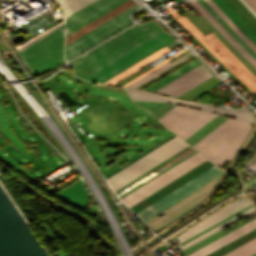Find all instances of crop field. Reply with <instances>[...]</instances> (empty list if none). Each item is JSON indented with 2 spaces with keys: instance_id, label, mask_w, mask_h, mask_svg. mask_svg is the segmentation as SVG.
I'll list each match as a JSON object with an SVG mask.
<instances>
[{
  "instance_id": "18",
  "label": "crop field",
  "mask_w": 256,
  "mask_h": 256,
  "mask_svg": "<svg viewBox=\"0 0 256 256\" xmlns=\"http://www.w3.org/2000/svg\"><path fill=\"white\" fill-rule=\"evenodd\" d=\"M252 211H254V209H253V207H250V208L244 210L243 212L237 214L236 216H234V217L228 219L227 221L221 223L220 225H218V226L212 228L211 230L205 232L204 234H202V235L196 237L195 239L189 241L188 243H186V244L180 246L181 251L184 250V249H186V248H188L189 246L195 244L196 242L202 240L203 238L209 236L210 234L214 233L215 231H217V230H219V229H221V228H223V227L229 225V224L232 223L233 221L239 219L240 217H242V216H244V215H246V214H248V213H250V212H252Z\"/></svg>"
},
{
  "instance_id": "4",
  "label": "crop field",
  "mask_w": 256,
  "mask_h": 256,
  "mask_svg": "<svg viewBox=\"0 0 256 256\" xmlns=\"http://www.w3.org/2000/svg\"><path fill=\"white\" fill-rule=\"evenodd\" d=\"M186 145L188 144L176 136L107 179L114 189H117L151 169L160 161L178 152Z\"/></svg>"
},
{
  "instance_id": "19",
  "label": "crop field",
  "mask_w": 256,
  "mask_h": 256,
  "mask_svg": "<svg viewBox=\"0 0 256 256\" xmlns=\"http://www.w3.org/2000/svg\"><path fill=\"white\" fill-rule=\"evenodd\" d=\"M61 9L63 16L70 15L93 0H54Z\"/></svg>"
},
{
  "instance_id": "15",
  "label": "crop field",
  "mask_w": 256,
  "mask_h": 256,
  "mask_svg": "<svg viewBox=\"0 0 256 256\" xmlns=\"http://www.w3.org/2000/svg\"><path fill=\"white\" fill-rule=\"evenodd\" d=\"M244 33V35L256 45V34L239 18L224 0H212Z\"/></svg>"
},
{
  "instance_id": "22",
  "label": "crop field",
  "mask_w": 256,
  "mask_h": 256,
  "mask_svg": "<svg viewBox=\"0 0 256 256\" xmlns=\"http://www.w3.org/2000/svg\"><path fill=\"white\" fill-rule=\"evenodd\" d=\"M188 55H190V54L187 53L186 55L178 58L177 60H175L171 63L168 62V63L162 65L161 67H159L156 70L150 72L149 74L145 75L144 77L138 79L137 81L133 82L132 84H130L128 86L136 87V86L140 85L141 83L145 82L146 80L150 79L151 77L155 76L156 74L160 73L161 71L165 70L166 68L170 67L171 65L175 64L176 62L180 61L181 59L185 58Z\"/></svg>"
},
{
  "instance_id": "23",
  "label": "crop field",
  "mask_w": 256,
  "mask_h": 256,
  "mask_svg": "<svg viewBox=\"0 0 256 256\" xmlns=\"http://www.w3.org/2000/svg\"><path fill=\"white\" fill-rule=\"evenodd\" d=\"M248 75H250L255 81L254 77L226 48L225 46L212 34H208Z\"/></svg>"
},
{
  "instance_id": "25",
  "label": "crop field",
  "mask_w": 256,
  "mask_h": 256,
  "mask_svg": "<svg viewBox=\"0 0 256 256\" xmlns=\"http://www.w3.org/2000/svg\"><path fill=\"white\" fill-rule=\"evenodd\" d=\"M251 10L256 14V0H243Z\"/></svg>"
},
{
  "instance_id": "1",
  "label": "crop field",
  "mask_w": 256,
  "mask_h": 256,
  "mask_svg": "<svg viewBox=\"0 0 256 256\" xmlns=\"http://www.w3.org/2000/svg\"><path fill=\"white\" fill-rule=\"evenodd\" d=\"M221 172L222 171H220L218 168L212 166L209 169L202 172L201 174L194 177L193 179H191L190 181L186 182L179 188L175 189L171 193L167 194L163 198L159 199L158 201L154 202L153 204L149 205L148 207H146L145 209L141 210L136 214L145 221L148 218L155 215L156 213L163 210L164 208L168 207L175 201L179 200L186 194L190 193L194 189L198 188L199 186L203 185L207 181L221 174ZM219 176L212 179L211 181L204 184L203 186L199 187L198 189L194 190L190 194L186 195L185 197L175 202L174 204H172L165 210L161 211L157 215L150 218L149 220L155 218L156 216L162 213L165 215L164 217L150 223L149 225L157 230L163 225H165L166 223L182 216L186 212L190 211L191 209L199 205L201 201L206 197V195L210 192V190L213 188Z\"/></svg>"
},
{
  "instance_id": "8",
  "label": "crop field",
  "mask_w": 256,
  "mask_h": 256,
  "mask_svg": "<svg viewBox=\"0 0 256 256\" xmlns=\"http://www.w3.org/2000/svg\"><path fill=\"white\" fill-rule=\"evenodd\" d=\"M126 89H127L132 100L171 102L174 104H180V105H184V106L213 111L218 114L228 115V116H231V117H234L237 119H241L243 121L250 122V123H254V121L256 120V118L245 107L238 109V110H228V109H222V108H218V107H214V106H209V105L169 98V97L157 95V94L146 92V91L128 89V88H126Z\"/></svg>"
},
{
  "instance_id": "5",
  "label": "crop field",
  "mask_w": 256,
  "mask_h": 256,
  "mask_svg": "<svg viewBox=\"0 0 256 256\" xmlns=\"http://www.w3.org/2000/svg\"><path fill=\"white\" fill-rule=\"evenodd\" d=\"M173 40L175 39L164 31L85 79L103 82Z\"/></svg>"
},
{
  "instance_id": "10",
  "label": "crop field",
  "mask_w": 256,
  "mask_h": 256,
  "mask_svg": "<svg viewBox=\"0 0 256 256\" xmlns=\"http://www.w3.org/2000/svg\"><path fill=\"white\" fill-rule=\"evenodd\" d=\"M211 76L213 75L200 64L159 88L156 92L177 97Z\"/></svg>"
},
{
  "instance_id": "24",
  "label": "crop field",
  "mask_w": 256,
  "mask_h": 256,
  "mask_svg": "<svg viewBox=\"0 0 256 256\" xmlns=\"http://www.w3.org/2000/svg\"><path fill=\"white\" fill-rule=\"evenodd\" d=\"M184 51H186V50L184 49V50H182V51L176 53L175 55L171 56L170 58L166 59L165 61H163V62H161L160 64L156 65L155 67L151 68L150 70L144 72L143 74L139 75L138 77L134 78L133 80L127 82L126 84H124V86L130 84L131 82H133V81H135L136 79L142 77L143 75L147 74L148 72L152 71L153 69L157 68L158 66L162 65L163 63L167 62L168 60L174 58L175 56L179 55L180 53H182V52H184Z\"/></svg>"
},
{
  "instance_id": "20",
  "label": "crop field",
  "mask_w": 256,
  "mask_h": 256,
  "mask_svg": "<svg viewBox=\"0 0 256 256\" xmlns=\"http://www.w3.org/2000/svg\"><path fill=\"white\" fill-rule=\"evenodd\" d=\"M200 64L196 59L191 61L190 63L186 64L185 66L181 67L180 69L176 70L175 72L169 74L168 76L164 77L163 79L159 80L158 82L154 83L153 85L146 88V90H156L159 87L163 86L164 84L168 83L169 81L173 80L174 78L180 76L181 74L185 73L186 71L190 70L191 68L195 67L196 65Z\"/></svg>"
},
{
  "instance_id": "16",
  "label": "crop field",
  "mask_w": 256,
  "mask_h": 256,
  "mask_svg": "<svg viewBox=\"0 0 256 256\" xmlns=\"http://www.w3.org/2000/svg\"><path fill=\"white\" fill-rule=\"evenodd\" d=\"M168 51H170V50H168L165 47L158 50L157 52L153 53L152 55L146 57L145 59L141 60L140 62L134 64L133 66L127 68L126 70L122 71L121 73H119V74L115 75L114 77L110 78L109 80L105 81V83H113V84L118 83L123 78H125V76H127V75L135 72L136 70L142 68L143 66L151 63L152 61L159 58L160 56L167 53Z\"/></svg>"
},
{
  "instance_id": "11",
  "label": "crop field",
  "mask_w": 256,
  "mask_h": 256,
  "mask_svg": "<svg viewBox=\"0 0 256 256\" xmlns=\"http://www.w3.org/2000/svg\"><path fill=\"white\" fill-rule=\"evenodd\" d=\"M239 200H241V203H239L238 200L231 202L230 204L224 206L220 210L216 211L215 213L207 217L205 220H203L202 222H200L187 232H183L184 234H180L181 236L178 237L180 243L186 241L187 239L193 237L194 235L202 232L203 230L209 228L210 226L216 224L217 222L223 220L224 218L232 215L233 213L251 204L243 199Z\"/></svg>"
},
{
  "instance_id": "17",
  "label": "crop field",
  "mask_w": 256,
  "mask_h": 256,
  "mask_svg": "<svg viewBox=\"0 0 256 256\" xmlns=\"http://www.w3.org/2000/svg\"><path fill=\"white\" fill-rule=\"evenodd\" d=\"M225 1L256 32V17L239 0Z\"/></svg>"
},
{
  "instance_id": "3",
  "label": "crop field",
  "mask_w": 256,
  "mask_h": 256,
  "mask_svg": "<svg viewBox=\"0 0 256 256\" xmlns=\"http://www.w3.org/2000/svg\"><path fill=\"white\" fill-rule=\"evenodd\" d=\"M62 29L63 21L16 46L32 74L44 73L64 63Z\"/></svg>"
},
{
  "instance_id": "14",
  "label": "crop field",
  "mask_w": 256,
  "mask_h": 256,
  "mask_svg": "<svg viewBox=\"0 0 256 256\" xmlns=\"http://www.w3.org/2000/svg\"><path fill=\"white\" fill-rule=\"evenodd\" d=\"M133 4H134V2L132 0H128L127 2L116 7L115 9L111 10L110 12L102 15L101 17L95 19L94 21L90 22L89 24L76 30L75 32L66 36V44L70 43L71 41L75 40L76 38L80 37L81 35L85 34L86 32L90 31L91 29L95 28L99 24L103 23L104 21L108 20L109 18L113 17L114 15L118 14L119 12L123 11L124 9L128 8L129 6H131Z\"/></svg>"
},
{
  "instance_id": "9",
  "label": "crop field",
  "mask_w": 256,
  "mask_h": 256,
  "mask_svg": "<svg viewBox=\"0 0 256 256\" xmlns=\"http://www.w3.org/2000/svg\"><path fill=\"white\" fill-rule=\"evenodd\" d=\"M126 0H96L65 18L66 34H70L93 19L115 8Z\"/></svg>"
},
{
  "instance_id": "2",
  "label": "crop field",
  "mask_w": 256,
  "mask_h": 256,
  "mask_svg": "<svg viewBox=\"0 0 256 256\" xmlns=\"http://www.w3.org/2000/svg\"><path fill=\"white\" fill-rule=\"evenodd\" d=\"M163 30L165 29L155 21L135 24L69 63V66L75 75L83 79Z\"/></svg>"
},
{
  "instance_id": "26",
  "label": "crop field",
  "mask_w": 256,
  "mask_h": 256,
  "mask_svg": "<svg viewBox=\"0 0 256 256\" xmlns=\"http://www.w3.org/2000/svg\"><path fill=\"white\" fill-rule=\"evenodd\" d=\"M174 1L178 2V1H180V0H174Z\"/></svg>"
},
{
  "instance_id": "12",
  "label": "crop field",
  "mask_w": 256,
  "mask_h": 256,
  "mask_svg": "<svg viewBox=\"0 0 256 256\" xmlns=\"http://www.w3.org/2000/svg\"><path fill=\"white\" fill-rule=\"evenodd\" d=\"M57 195L80 208L89 204L87 201L89 195L81 179L60 191Z\"/></svg>"
},
{
  "instance_id": "21",
  "label": "crop field",
  "mask_w": 256,
  "mask_h": 256,
  "mask_svg": "<svg viewBox=\"0 0 256 256\" xmlns=\"http://www.w3.org/2000/svg\"><path fill=\"white\" fill-rule=\"evenodd\" d=\"M214 18H216L223 27L235 38V40L256 59V53L253 52L230 28L229 26L214 12V10L204 1L197 0Z\"/></svg>"
},
{
  "instance_id": "7",
  "label": "crop field",
  "mask_w": 256,
  "mask_h": 256,
  "mask_svg": "<svg viewBox=\"0 0 256 256\" xmlns=\"http://www.w3.org/2000/svg\"><path fill=\"white\" fill-rule=\"evenodd\" d=\"M167 10L256 95V82L248 76L208 35L204 36L185 16H180L171 7L167 8Z\"/></svg>"
},
{
  "instance_id": "13",
  "label": "crop field",
  "mask_w": 256,
  "mask_h": 256,
  "mask_svg": "<svg viewBox=\"0 0 256 256\" xmlns=\"http://www.w3.org/2000/svg\"><path fill=\"white\" fill-rule=\"evenodd\" d=\"M230 42V44L256 69V60L253 59L235 40L234 38L221 26V24L214 19L196 0L190 1Z\"/></svg>"
},
{
  "instance_id": "6",
  "label": "crop field",
  "mask_w": 256,
  "mask_h": 256,
  "mask_svg": "<svg viewBox=\"0 0 256 256\" xmlns=\"http://www.w3.org/2000/svg\"><path fill=\"white\" fill-rule=\"evenodd\" d=\"M137 9L138 5L136 4L129 7L128 9L114 16L117 19H109L100 26L96 27L95 29L91 30L90 32L86 33L85 35L71 42L70 44L66 45L65 59H72L73 57L80 54L87 48L93 46L94 44L100 42L106 37L131 24L132 21L129 19V14L136 11ZM118 21L120 23L117 24L116 22Z\"/></svg>"
}]
</instances>
